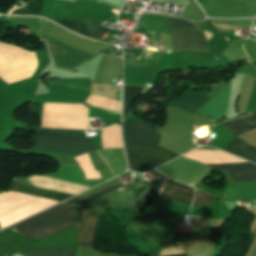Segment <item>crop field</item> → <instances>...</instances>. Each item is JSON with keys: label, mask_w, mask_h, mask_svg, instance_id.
<instances>
[{"label": "crop field", "mask_w": 256, "mask_h": 256, "mask_svg": "<svg viewBox=\"0 0 256 256\" xmlns=\"http://www.w3.org/2000/svg\"><path fill=\"white\" fill-rule=\"evenodd\" d=\"M252 24V23H251Z\"/></svg>", "instance_id": "27"}, {"label": "crop field", "mask_w": 256, "mask_h": 256, "mask_svg": "<svg viewBox=\"0 0 256 256\" xmlns=\"http://www.w3.org/2000/svg\"><path fill=\"white\" fill-rule=\"evenodd\" d=\"M69 206L70 205L60 204V205H58V206H56V207H54L50 210H47V211H45V212H43V213H41L37 216H34V217H32V218H30V219H28V220H26L22 223H19V224L15 225V226H13L9 229L18 232V231H20V230H22V229H24V228H26V227H28L32 224L44 219V218H47V217H49V216H51V215H53V214H55V213H57V212H59L63 209L69 207ZM74 216H75L74 206H71V207H69V208H67V209H65V210L47 218V219H45V220H42V221H40V222L30 226V227L18 232V233H20V234H22L26 237H30V236H32L36 233H39V232H41L45 229H48V228H50V227H52L56 224H59V223L65 221V220H68V219H70ZM74 224H75V217L68 220V221H65V222H63L59 225H56V226H54V227H52L48 230H45V231H43L39 234H36V235H34L30 238L34 239L36 241H39V240H42V239H44V238H46L50 235H53V234L59 232L61 230H64V229H66V228H68V227H70Z\"/></svg>", "instance_id": "1"}, {"label": "crop field", "mask_w": 256, "mask_h": 256, "mask_svg": "<svg viewBox=\"0 0 256 256\" xmlns=\"http://www.w3.org/2000/svg\"><path fill=\"white\" fill-rule=\"evenodd\" d=\"M207 93V91L195 92L188 90L178 98L170 101L167 106L179 108L193 114L196 109L202 107L210 100Z\"/></svg>", "instance_id": "10"}, {"label": "crop field", "mask_w": 256, "mask_h": 256, "mask_svg": "<svg viewBox=\"0 0 256 256\" xmlns=\"http://www.w3.org/2000/svg\"><path fill=\"white\" fill-rule=\"evenodd\" d=\"M38 134L82 136L81 132L53 130V129H44V128H42ZM34 144L95 148L91 138H76V137H61V136L37 135L34 138ZM40 145H33V150H44V151H50V152L67 153V154H72L76 156H79L90 150H93L88 148H72V147H56V146H40Z\"/></svg>", "instance_id": "2"}, {"label": "crop field", "mask_w": 256, "mask_h": 256, "mask_svg": "<svg viewBox=\"0 0 256 256\" xmlns=\"http://www.w3.org/2000/svg\"><path fill=\"white\" fill-rule=\"evenodd\" d=\"M98 152L106 161L107 165L110 167V169L115 174V176L124 171L123 167L118 162L117 158L111 152L110 149H101V150H98Z\"/></svg>", "instance_id": "20"}, {"label": "crop field", "mask_w": 256, "mask_h": 256, "mask_svg": "<svg viewBox=\"0 0 256 256\" xmlns=\"http://www.w3.org/2000/svg\"><path fill=\"white\" fill-rule=\"evenodd\" d=\"M182 248H176V249H166V250H161L159 256H168V255H173V254H178V253H183ZM173 256H187L186 253L183 254H178V255H173Z\"/></svg>", "instance_id": "24"}, {"label": "crop field", "mask_w": 256, "mask_h": 256, "mask_svg": "<svg viewBox=\"0 0 256 256\" xmlns=\"http://www.w3.org/2000/svg\"><path fill=\"white\" fill-rule=\"evenodd\" d=\"M122 187H123L122 184H120V185H113V186L108 187V188H106V189H104V190H102V191H100V192H98V193L88 197V198H83V197L76 196V197H74V198H72V199H70V200H68V201H66L64 203L70 204V205H75V206H78V207L86 209V207L89 204L93 203V201H95V200L101 198L102 196H104L106 194H109V193H111V192H113V191H115V190H117L119 188H122Z\"/></svg>", "instance_id": "17"}, {"label": "crop field", "mask_w": 256, "mask_h": 256, "mask_svg": "<svg viewBox=\"0 0 256 256\" xmlns=\"http://www.w3.org/2000/svg\"><path fill=\"white\" fill-rule=\"evenodd\" d=\"M113 17H114V16H113ZM111 18H112V17H111ZM111 18H109V19H111ZM109 19H108V20H109ZM108 20H106V21H108ZM106 21H104V22H106Z\"/></svg>", "instance_id": "26"}, {"label": "crop field", "mask_w": 256, "mask_h": 256, "mask_svg": "<svg viewBox=\"0 0 256 256\" xmlns=\"http://www.w3.org/2000/svg\"><path fill=\"white\" fill-rule=\"evenodd\" d=\"M173 29L175 37L176 52L179 51H206V32L199 30V37L201 43H199L198 31L193 22L185 20H175L164 17ZM212 34L207 32V40H210Z\"/></svg>", "instance_id": "3"}, {"label": "crop field", "mask_w": 256, "mask_h": 256, "mask_svg": "<svg viewBox=\"0 0 256 256\" xmlns=\"http://www.w3.org/2000/svg\"><path fill=\"white\" fill-rule=\"evenodd\" d=\"M210 167L225 171L237 182L256 179V165L253 163L214 165Z\"/></svg>", "instance_id": "13"}, {"label": "crop field", "mask_w": 256, "mask_h": 256, "mask_svg": "<svg viewBox=\"0 0 256 256\" xmlns=\"http://www.w3.org/2000/svg\"><path fill=\"white\" fill-rule=\"evenodd\" d=\"M123 133L126 147L159 144L160 135L142 120L123 122Z\"/></svg>", "instance_id": "5"}, {"label": "crop field", "mask_w": 256, "mask_h": 256, "mask_svg": "<svg viewBox=\"0 0 256 256\" xmlns=\"http://www.w3.org/2000/svg\"><path fill=\"white\" fill-rule=\"evenodd\" d=\"M221 125L235 137L256 128V115H248L237 120L221 123Z\"/></svg>", "instance_id": "14"}, {"label": "crop field", "mask_w": 256, "mask_h": 256, "mask_svg": "<svg viewBox=\"0 0 256 256\" xmlns=\"http://www.w3.org/2000/svg\"><path fill=\"white\" fill-rule=\"evenodd\" d=\"M126 151L129 169L132 171L159 166L178 156L160 146L126 148Z\"/></svg>", "instance_id": "4"}, {"label": "crop field", "mask_w": 256, "mask_h": 256, "mask_svg": "<svg viewBox=\"0 0 256 256\" xmlns=\"http://www.w3.org/2000/svg\"><path fill=\"white\" fill-rule=\"evenodd\" d=\"M76 256H117L115 254H107L103 255L101 253H97L93 250L86 249V248H77Z\"/></svg>", "instance_id": "23"}, {"label": "crop field", "mask_w": 256, "mask_h": 256, "mask_svg": "<svg viewBox=\"0 0 256 256\" xmlns=\"http://www.w3.org/2000/svg\"><path fill=\"white\" fill-rule=\"evenodd\" d=\"M143 88L144 87L124 85V108H123V114H127L128 107H130L131 103L133 102V100L136 97L140 96Z\"/></svg>", "instance_id": "21"}, {"label": "crop field", "mask_w": 256, "mask_h": 256, "mask_svg": "<svg viewBox=\"0 0 256 256\" xmlns=\"http://www.w3.org/2000/svg\"><path fill=\"white\" fill-rule=\"evenodd\" d=\"M194 191L192 188L174 181H166L159 197L185 205H190Z\"/></svg>", "instance_id": "11"}, {"label": "crop field", "mask_w": 256, "mask_h": 256, "mask_svg": "<svg viewBox=\"0 0 256 256\" xmlns=\"http://www.w3.org/2000/svg\"><path fill=\"white\" fill-rule=\"evenodd\" d=\"M212 198V196L206 193L196 192L193 205L210 206Z\"/></svg>", "instance_id": "22"}, {"label": "crop field", "mask_w": 256, "mask_h": 256, "mask_svg": "<svg viewBox=\"0 0 256 256\" xmlns=\"http://www.w3.org/2000/svg\"><path fill=\"white\" fill-rule=\"evenodd\" d=\"M252 238L256 235V228L251 232Z\"/></svg>", "instance_id": "25"}, {"label": "crop field", "mask_w": 256, "mask_h": 256, "mask_svg": "<svg viewBox=\"0 0 256 256\" xmlns=\"http://www.w3.org/2000/svg\"><path fill=\"white\" fill-rule=\"evenodd\" d=\"M75 247L26 250L19 254L23 256H74Z\"/></svg>", "instance_id": "18"}, {"label": "crop field", "mask_w": 256, "mask_h": 256, "mask_svg": "<svg viewBox=\"0 0 256 256\" xmlns=\"http://www.w3.org/2000/svg\"><path fill=\"white\" fill-rule=\"evenodd\" d=\"M42 176L59 179L71 183H76L88 187H92L102 182V179L85 180L84 173L79 167V165H59V168L56 173Z\"/></svg>", "instance_id": "9"}, {"label": "crop field", "mask_w": 256, "mask_h": 256, "mask_svg": "<svg viewBox=\"0 0 256 256\" xmlns=\"http://www.w3.org/2000/svg\"><path fill=\"white\" fill-rule=\"evenodd\" d=\"M96 217H97L96 213L88 212L84 209L76 207L77 245L91 246V237H92L93 229L95 227ZM97 220H98V217H97ZM92 242H93V237H92Z\"/></svg>", "instance_id": "7"}, {"label": "crop field", "mask_w": 256, "mask_h": 256, "mask_svg": "<svg viewBox=\"0 0 256 256\" xmlns=\"http://www.w3.org/2000/svg\"><path fill=\"white\" fill-rule=\"evenodd\" d=\"M225 151L256 163V148L245 143L238 137L228 144Z\"/></svg>", "instance_id": "16"}, {"label": "crop field", "mask_w": 256, "mask_h": 256, "mask_svg": "<svg viewBox=\"0 0 256 256\" xmlns=\"http://www.w3.org/2000/svg\"><path fill=\"white\" fill-rule=\"evenodd\" d=\"M46 45L49 50L52 66L58 69H74L81 63L92 57L68 48H65L55 42L46 40Z\"/></svg>", "instance_id": "6"}, {"label": "crop field", "mask_w": 256, "mask_h": 256, "mask_svg": "<svg viewBox=\"0 0 256 256\" xmlns=\"http://www.w3.org/2000/svg\"><path fill=\"white\" fill-rule=\"evenodd\" d=\"M44 0H30L25 6L14 10L11 14L40 15Z\"/></svg>", "instance_id": "19"}, {"label": "crop field", "mask_w": 256, "mask_h": 256, "mask_svg": "<svg viewBox=\"0 0 256 256\" xmlns=\"http://www.w3.org/2000/svg\"><path fill=\"white\" fill-rule=\"evenodd\" d=\"M10 191H18L38 197H43L47 199H52V200H58V201H63L72 195L60 193V192H55V191H49V190H43L35 187H28V186H22L18 184H12L10 186Z\"/></svg>", "instance_id": "15"}, {"label": "crop field", "mask_w": 256, "mask_h": 256, "mask_svg": "<svg viewBox=\"0 0 256 256\" xmlns=\"http://www.w3.org/2000/svg\"><path fill=\"white\" fill-rule=\"evenodd\" d=\"M230 84L231 80L220 93H218L211 101L203 106L202 116L214 117L218 119L225 118Z\"/></svg>", "instance_id": "12"}, {"label": "crop field", "mask_w": 256, "mask_h": 256, "mask_svg": "<svg viewBox=\"0 0 256 256\" xmlns=\"http://www.w3.org/2000/svg\"><path fill=\"white\" fill-rule=\"evenodd\" d=\"M78 34L83 36L91 37L96 40L102 36V34L107 29L106 27L101 26L102 22L93 21V20H52Z\"/></svg>", "instance_id": "8"}]
</instances>
